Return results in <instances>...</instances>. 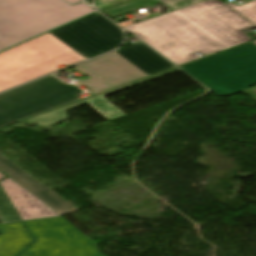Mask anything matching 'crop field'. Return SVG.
Returning a JSON list of instances; mask_svg holds the SVG:
<instances>
[{"instance_id":"8a807250","label":"crop field","mask_w":256,"mask_h":256,"mask_svg":"<svg viewBox=\"0 0 256 256\" xmlns=\"http://www.w3.org/2000/svg\"><path fill=\"white\" fill-rule=\"evenodd\" d=\"M178 65L250 41L244 30L256 28L219 0L186 8L124 27Z\"/></svg>"},{"instance_id":"ac0d7876","label":"crop field","mask_w":256,"mask_h":256,"mask_svg":"<svg viewBox=\"0 0 256 256\" xmlns=\"http://www.w3.org/2000/svg\"><path fill=\"white\" fill-rule=\"evenodd\" d=\"M86 60L49 32L0 53V92Z\"/></svg>"},{"instance_id":"34b2d1b8","label":"crop field","mask_w":256,"mask_h":256,"mask_svg":"<svg viewBox=\"0 0 256 256\" xmlns=\"http://www.w3.org/2000/svg\"><path fill=\"white\" fill-rule=\"evenodd\" d=\"M92 11L62 0H0V50Z\"/></svg>"},{"instance_id":"412701ff","label":"crop field","mask_w":256,"mask_h":256,"mask_svg":"<svg viewBox=\"0 0 256 256\" xmlns=\"http://www.w3.org/2000/svg\"><path fill=\"white\" fill-rule=\"evenodd\" d=\"M180 68L217 96H226L256 84V46L249 43Z\"/></svg>"},{"instance_id":"f4fd0767","label":"crop field","mask_w":256,"mask_h":256,"mask_svg":"<svg viewBox=\"0 0 256 256\" xmlns=\"http://www.w3.org/2000/svg\"><path fill=\"white\" fill-rule=\"evenodd\" d=\"M76 86L65 85L52 75L0 95V100L26 118L80 100Z\"/></svg>"},{"instance_id":"dd49c442","label":"crop field","mask_w":256,"mask_h":256,"mask_svg":"<svg viewBox=\"0 0 256 256\" xmlns=\"http://www.w3.org/2000/svg\"><path fill=\"white\" fill-rule=\"evenodd\" d=\"M50 32L87 59L119 46L123 39L122 31L98 13Z\"/></svg>"},{"instance_id":"e52e79f7","label":"crop field","mask_w":256,"mask_h":256,"mask_svg":"<svg viewBox=\"0 0 256 256\" xmlns=\"http://www.w3.org/2000/svg\"><path fill=\"white\" fill-rule=\"evenodd\" d=\"M76 67L91 77L76 84L92 95L148 76L115 52Z\"/></svg>"},{"instance_id":"d8731c3e","label":"crop field","mask_w":256,"mask_h":256,"mask_svg":"<svg viewBox=\"0 0 256 256\" xmlns=\"http://www.w3.org/2000/svg\"><path fill=\"white\" fill-rule=\"evenodd\" d=\"M149 80H152V79L148 77V78L127 84L125 86L119 87L117 89L111 90L109 92H106V93L58 108L56 110L44 113L42 115L24 120L22 122L34 123V124H39L44 126H51L55 123H58L60 121L67 119L65 110L85 104V103L91 106L95 111H97L100 115L105 117L107 120H111V119L123 116L124 114L121 111H119L117 108H115L103 96L149 81Z\"/></svg>"},{"instance_id":"5a996713","label":"crop field","mask_w":256,"mask_h":256,"mask_svg":"<svg viewBox=\"0 0 256 256\" xmlns=\"http://www.w3.org/2000/svg\"><path fill=\"white\" fill-rule=\"evenodd\" d=\"M0 185L23 221L60 216L11 179Z\"/></svg>"},{"instance_id":"3316defc","label":"crop field","mask_w":256,"mask_h":256,"mask_svg":"<svg viewBox=\"0 0 256 256\" xmlns=\"http://www.w3.org/2000/svg\"><path fill=\"white\" fill-rule=\"evenodd\" d=\"M9 159V158H8ZM0 153V170L8 175L13 181L22 186L32 195L37 197L43 203L48 205L58 214L63 215L70 213L66 208L48 196L46 193L50 191L48 187L32 177L30 174L22 170L20 167L12 163Z\"/></svg>"},{"instance_id":"28ad6ade","label":"crop field","mask_w":256,"mask_h":256,"mask_svg":"<svg viewBox=\"0 0 256 256\" xmlns=\"http://www.w3.org/2000/svg\"><path fill=\"white\" fill-rule=\"evenodd\" d=\"M116 52L149 76L174 67L140 42L124 47Z\"/></svg>"},{"instance_id":"d1516ede","label":"crop field","mask_w":256,"mask_h":256,"mask_svg":"<svg viewBox=\"0 0 256 256\" xmlns=\"http://www.w3.org/2000/svg\"><path fill=\"white\" fill-rule=\"evenodd\" d=\"M200 1L203 0H139L135 2V5L136 9L141 7L158 5L162 7L165 13H167Z\"/></svg>"},{"instance_id":"22f410ed","label":"crop field","mask_w":256,"mask_h":256,"mask_svg":"<svg viewBox=\"0 0 256 256\" xmlns=\"http://www.w3.org/2000/svg\"><path fill=\"white\" fill-rule=\"evenodd\" d=\"M18 221H19L18 217L16 216L10 203L8 202L2 190L0 189V222L1 224L18 222Z\"/></svg>"},{"instance_id":"cbeb9de0","label":"crop field","mask_w":256,"mask_h":256,"mask_svg":"<svg viewBox=\"0 0 256 256\" xmlns=\"http://www.w3.org/2000/svg\"><path fill=\"white\" fill-rule=\"evenodd\" d=\"M227 5L256 25V0L243 6H237L232 3H228Z\"/></svg>"},{"instance_id":"5142ce71","label":"crop field","mask_w":256,"mask_h":256,"mask_svg":"<svg viewBox=\"0 0 256 256\" xmlns=\"http://www.w3.org/2000/svg\"><path fill=\"white\" fill-rule=\"evenodd\" d=\"M20 119L23 118L0 101V127Z\"/></svg>"},{"instance_id":"d9b57169","label":"crop field","mask_w":256,"mask_h":256,"mask_svg":"<svg viewBox=\"0 0 256 256\" xmlns=\"http://www.w3.org/2000/svg\"><path fill=\"white\" fill-rule=\"evenodd\" d=\"M48 195H50L52 198H54L56 201H58L60 204H62L64 207H66L68 210H70L71 212L77 210L74 206H72L70 203H68L66 200H64L63 198H61L59 195H57L55 192H53L52 190L47 193Z\"/></svg>"},{"instance_id":"733c2abd","label":"crop field","mask_w":256,"mask_h":256,"mask_svg":"<svg viewBox=\"0 0 256 256\" xmlns=\"http://www.w3.org/2000/svg\"><path fill=\"white\" fill-rule=\"evenodd\" d=\"M123 1H126V0H95V5L98 8V10H100L105 7H108Z\"/></svg>"},{"instance_id":"4a817a6b","label":"crop field","mask_w":256,"mask_h":256,"mask_svg":"<svg viewBox=\"0 0 256 256\" xmlns=\"http://www.w3.org/2000/svg\"><path fill=\"white\" fill-rule=\"evenodd\" d=\"M174 71H178V69L175 68V69H172V70H169V71H166V72H162V73L153 75V76H151V77H152L153 79H155V78H157V77L163 76V75H165V74H168V73H171V72H174Z\"/></svg>"},{"instance_id":"bc2a9ffb","label":"crop field","mask_w":256,"mask_h":256,"mask_svg":"<svg viewBox=\"0 0 256 256\" xmlns=\"http://www.w3.org/2000/svg\"><path fill=\"white\" fill-rule=\"evenodd\" d=\"M67 2L69 3H75V2H78V1H81V0H66Z\"/></svg>"},{"instance_id":"214f88e0","label":"crop field","mask_w":256,"mask_h":256,"mask_svg":"<svg viewBox=\"0 0 256 256\" xmlns=\"http://www.w3.org/2000/svg\"><path fill=\"white\" fill-rule=\"evenodd\" d=\"M3 177H5V176L0 173V179L3 178Z\"/></svg>"},{"instance_id":"92a150f3","label":"crop field","mask_w":256,"mask_h":256,"mask_svg":"<svg viewBox=\"0 0 256 256\" xmlns=\"http://www.w3.org/2000/svg\"><path fill=\"white\" fill-rule=\"evenodd\" d=\"M254 43L256 44V41H254Z\"/></svg>"}]
</instances>
